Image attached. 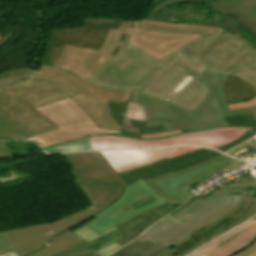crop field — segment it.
<instances>
[{
  "label": "crop field",
  "mask_w": 256,
  "mask_h": 256,
  "mask_svg": "<svg viewBox=\"0 0 256 256\" xmlns=\"http://www.w3.org/2000/svg\"><path fill=\"white\" fill-rule=\"evenodd\" d=\"M170 66L152 79L131 101L159 111L167 131L183 132L220 126H256V106L229 111L227 104L256 97V88L238 76L205 70L177 56ZM171 68V70H169ZM194 77L169 103L165 96L186 76ZM183 107V108H182Z\"/></svg>",
  "instance_id": "8a807250"
},
{
  "label": "crop field",
  "mask_w": 256,
  "mask_h": 256,
  "mask_svg": "<svg viewBox=\"0 0 256 256\" xmlns=\"http://www.w3.org/2000/svg\"><path fill=\"white\" fill-rule=\"evenodd\" d=\"M238 164L241 163L213 151L140 179L127 187L119 200L95 215L97 219L86 225L98 233L116 225L126 234L116 241L124 246L152 223L176 210L170 204H185L192 194L183 188L210 174Z\"/></svg>",
  "instance_id": "ac0d7876"
},
{
  "label": "crop field",
  "mask_w": 256,
  "mask_h": 256,
  "mask_svg": "<svg viewBox=\"0 0 256 256\" xmlns=\"http://www.w3.org/2000/svg\"><path fill=\"white\" fill-rule=\"evenodd\" d=\"M139 28L202 34L177 52L161 59L164 64L180 53L207 68L237 74L252 61L256 62V51L228 31L216 33L141 24Z\"/></svg>",
  "instance_id": "34b2d1b8"
},
{
  "label": "crop field",
  "mask_w": 256,
  "mask_h": 256,
  "mask_svg": "<svg viewBox=\"0 0 256 256\" xmlns=\"http://www.w3.org/2000/svg\"><path fill=\"white\" fill-rule=\"evenodd\" d=\"M240 199L238 196H223L217 201L210 196L203 201L198 198L183 210L163 218L144 233L167 248L175 246L199 226L211 224L229 213Z\"/></svg>",
  "instance_id": "412701ff"
},
{
  "label": "crop field",
  "mask_w": 256,
  "mask_h": 256,
  "mask_svg": "<svg viewBox=\"0 0 256 256\" xmlns=\"http://www.w3.org/2000/svg\"><path fill=\"white\" fill-rule=\"evenodd\" d=\"M73 167L76 184L92 205L106 207L122 195L126 183L100 151L63 154Z\"/></svg>",
  "instance_id": "f4fd0767"
},
{
  "label": "crop field",
  "mask_w": 256,
  "mask_h": 256,
  "mask_svg": "<svg viewBox=\"0 0 256 256\" xmlns=\"http://www.w3.org/2000/svg\"><path fill=\"white\" fill-rule=\"evenodd\" d=\"M29 76L55 81L65 86L77 94L70 99L78 104L98 127L120 131L121 127L109 113L107 101L125 103V99L130 100L131 93L99 88L57 68L42 66L40 70H32Z\"/></svg>",
  "instance_id": "dd49c442"
},
{
  "label": "crop field",
  "mask_w": 256,
  "mask_h": 256,
  "mask_svg": "<svg viewBox=\"0 0 256 256\" xmlns=\"http://www.w3.org/2000/svg\"><path fill=\"white\" fill-rule=\"evenodd\" d=\"M164 67L158 59L127 43L118 57L87 81L99 87L131 92L141 90Z\"/></svg>",
  "instance_id": "e52e79f7"
},
{
  "label": "crop field",
  "mask_w": 256,
  "mask_h": 256,
  "mask_svg": "<svg viewBox=\"0 0 256 256\" xmlns=\"http://www.w3.org/2000/svg\"><path fill=\"white\" fill-rule=\"evenodd\" d=\"M59 128L29 138L41 148L94 134H118L120 132L98 128L89 116L69 98L35 107Z\"/></svg>",
  "instance_id": "d8731c3e"
},
{
  "label": "crop field",
  "mask_w": 256,
  "mask_h": 256,
  "mask_svg": "<svg viewBox=\"0 0 256 256\" xmlns=\"http://www.w3.org/2000/svg\"><path fill=\"white\" fill-rule=\"evenodd\" d=\"M255 127H221L203 131L182 133L173 137L142 140L117 135L88 136L94 149L126 147H164L171 145H197L217 148L238 139Z\"/></svg>",
  "instance_id": "5a996713"
},
{
  "label": "crop field",
  "mask_w": 256,
  "mask_h": 256,
  "mask_svg": "<svg viewBox=\"0 0 256 256\" xmlns=\"http://www.w3.org/2000/svg\"><path fill=\"white\" fill-rule=\"evenodd\" d=\"M133 22H122L119 29H110L98 51L65 46L54 67L89 78L120 54L130 36Z\"/></svg>",
  "instance_id": "3316defc"
},
{
  "label": "crop field",
  "mask_w": 256,
  "mask_h": 256,
  "mask_svg": "<svg viewBox=\"0 0 256 256\" xmlns=\"http://www.w3.org/2000/svg\"><path fill=\"white\" fill-rule=\"evenodd\" d=\"M54 128L22 98L11 100L0 91V138L24 140Z\"/></svg>",
  "instance_id": "28ad6ade"
},
{
  "label": "crop field",
  "mask_w": 256,
  "mask_h": 256,
  "mask_svg": "<svg viewBox=\"0 0 256 256\" xmlns=\"http://www.w3.org/2000/svg\"><path fill=\"white\" fill-rule=\"evenodd\" d=\"M223 195H239V196H242V200L239 202L237 207L229 214L218 219L211 225L202 226L196 229L185 241H183L182 243L178 244L173 248H168V249L172 250L173 252L177 253L180 256H184L187 253L191 252L192 250L198 248L199 246L213 240L214 238L218 237L224 232L239 225L241 222L245 221L246 219L256 215V184L223 187L217 190L216 192H214L210 196H212L214 199L217 200L219 197ZM227 218H232L233 220L224 223L220 228L215 229L214 232H211L201 237L198 242L193 243L194 245L191 248H186L182 251L177 250L195 241L199 237V235L209 231L218 223H220L221 221Z\"/></svg>",
  "instance_id": "d1516ede"
},
{
  "label": "crop field",
  "mask_w": 256,
  "mask_h": 256,
  "mask_svg": "<svg viewBox=\"0 0 256 256\" xmlns=\"http://www.w3.org/2000/svg\"><path fill=\"white\" fill-rule=\"evenodd\" d=\"M122 21L86 19L82 28L52 31L42 64L54 66L65 45L98 50L109 28Z\"/></svg>",
  "instance_id": "22f410ed"
},
{
  "label": "crop field",
  "mask_w": 256,
  "mask_h": 256,
  "mask_svg": "<svg viewBox=\"0 0 256 256\" xmlns=\"http://www.w3.org/2000/svg\"><path fill=\"white\" fill-rule=\"evenodd\" d=\"M140 21H135L128 43L138 47L159 60L171 54L199 35L138 29Z\"/></svg>",
  "instance_id": "cbeb9de0"
},
{
  "label": "crop field",
  "mask_w": 256,
  "mask_h": 256,
  "mask_svg": "<svg viewBox=\"0 0 256 256\" xmlns=\"http://www.w3.org/2000/svg\"><path fill=\"white\" fill-rule=\"evenodd\" d=\"M26 79L27 81L13 83L1 91L11 99L22 97L33 107L75 95L55 82L35 78Z\"/></svg>",
  "instance_id": "5142ce71"
},
{
  "label": "crop field",
  "mask_w": 256,
  "mask_h": 256,
  "mask_svg": "<svg viewBox=\"0 0 256 256\" xmlns=\"http://www.w3.org/2000/svg\"><path fill=\"white\" fill-rule=\"evenodd\" d=\"M194 147H177L154 150L101 151L117 173L167 157L168 159L199 150Z\"/></svg>",
  "instance_id": "d9b57169"
},
{
  "label": "crop field",
  "mask_w": 256,
  "mask_h": 256,
  "mask_svg": "<svg viewBox=\"0 0 256 256\" xmlns=\"http://www.w3.org/2000/svg\"><path fill=\"white\" fill-rule=\"evenodd\" d=\"M82 238L84 241L55 255V256H70L73 254L87 252V251H95L101 256H104L121 246L118 245L115 241L124 236L116 226L98 234L93 229L88 226H83L78 230L72 232ZM0 256H18L13 251L1 254Z\"/></svg>",
  "instance_id": "733c2abd"
},
{
  "label": "crop field",
  "mask_w": 256,
  "mask_h": 256,
  "mask_svg": "<svg viewBox=\"0 0 256 256\" xmlns=\"http://www.w3.org/2000/svg\"><path fill=\"white\" fill-rule=\"evenodd\" d=\"M52 239L43 225L1 232L0 254L13 250L18 255L25 256L38 251Z\"/></svg>",
  "instance_id": "4a817a6b"
},
{
  "label": "crop field",
  "mask_w": 256,
  "mask_h": 256,
  "mask_svg": "<svg viewBox=\"0 0 256 256\" xmlns=\"http://www.w3.org/2000/svg\"><path fill=\"white\" fill-rule=\"evenodd\" d=\"M256 240V220L238 227L229 234L221 237L218 241L194 253L191 256H199L205 252L212 256H231Z\"/></svg>",
  "instance_id": "bc2a9ffb"
},
{
  "label": "crop field",
  "mask_w": 256,
  "mask_h": 256,
  "mask_svg": "<svg viewBox=\"0 0 256 256\" xmlns=\"http://www.w3.org/2000/svg\"><path fill=\"white\" fill-rule=\"evenodd\" d=\"M178 0H164L158 3L146 19L152 20L157 8ZM218 7L226 12L238 15L256 34V0H218Z\"/></svg>",
  "instance_id": "214f88e0"
},
{
  "label": "crop field",
  "mask_w": 256,
  "mask_h": 256,
  "mask_svg": "<svg viewBox=\"0 0 256 256\" xmlns=\"http://www.w3.org/2000/svg\"><path fill=\"white\" fill-rule=\"evenodd\" d=\"M210 151H213L211 149H202L196 152H192L180 157H176L173 159L168 160L167 158L160 160L159 162H154L151 163L149 165L140 167V168H136L133 170H129L123 173H119L120 177L123 179V181H125L126 183L131 184L133 182H135L136 180L140 179V178H144L148 175L154 174L156 172L165 170L167 168L173 167L175 165L181 164L183 162L189 161L191 159H194L196 157H199L205 153H208ZM127 185V186H128Z\"/></svg>",
  "instance_id": "92a150f3"
},
{
  "label": "crop field",
  "mask_w": 256,
  "mask_h": 256,
  "mask_svg": "<svg viewBox=\"0 0 256 256\" xmlns=\"http://www.w3.org/2000/svg\"><path fill=\"white\" fill-rule=\"evenodd\" d=\"M108 103L111 115L122 127L120 135L140 138V135L166 131L163 126L146 127L145 122L126 119L129 104Z\"/></svg>",
  "instance_id": "dafd665d"
},
{
  "label": "crop field",
  "mask_w": 256,
  "mask_h": 256,
  "mask_svg": "<svg viewBox=\"0 0 256 256\" xmlns=\"http://www.w3.org/2000/svg\"><path fill=\"white\" fill-rule=\"evenodd\" d=\"M164 249V246L143 233L133 242L108 256H155Z\"/></svg>",
  "instance_id": "00972430"
},
{
  "label": "crop field",
  "mask_w": 256,
  "mask_h": 256,
  "mask_svg": "<svg viewBox=\"0 0 256 256\" xmlns=\"http://www.w3.org/2000/svg\"><path fill=\"white\" fill-rule=\"evenodd\" d=\"M105 208L98 206H91L85 210H82L74 215H71L61 221H58L54 224L44 225L48 232H50L54 237L65 232L81 222L93 217L96 213L100 212Z\"/></svg>",
  "instance_id": "a9b5d70f"
},
{
  "label": "crop field",
  "mask_w": 256,
  "mask_h": 256,
  "mask_svg": "<svg viewBox=\"0 0 256 256\" xmlns=\"http://www.w3.org/2000/svg\"><path fill=\"white\" fill-rule=\"evenodd\" d=\"M82 241L79 237L75 236L71 232L67 231L54 238L40 251L27 255V256H53L74 244Z\"/></svg>",
  "instance_id": "4177f3b9"
},
{
  "label": "crop field",
  "mask_w": 256,
  "mask_h": 256,
  "mask_svg": "<svg viewBox=\"0 0 256 256\" xmlns=\"http://www.w3.org/2000/svg\"><path fill=\"white\" fill-rule=\"evenodd\" d=\"M212 11L215 15V19L204 22V25L221 27L232 32L234 35L247 25L240 18H238V23H234L231 20H228V16H223L226 12L221 11L217 5H214Z\"/></svg>",
  "instance_id": "730fd06b"
},
{
  "label": "crop field",
  "mask_w": 256,
  "mask_h": 256,
  "mask_svg": "<svg viewBox=\"0 0 256 256\" xmlns=\"http://www.w3.org/2000/svg\"><path fill=\"white\" fill-rule=\"evenodd\" d=\"M88 149H92V147L86 136L80 139H76L73 141H69V142H65V143L51 146L48 148H44L43 150L50 153H57V152H67V151L88 150Z\"/></svg>",
  "instance_id": "eef30255"
},
{
  "label": "crop field",
  "mask_w": 256,
  "mask_h": 256,
  "mask_svg": "<svg viewBox=\"0 0 256 256\" xmlns=\"http://www.w3.org/2000/svg\"><path fill=\"white\" fill-rule=\"evenodd\" d=\"M15 33L12 32L6 36L0 41V48L14 35ZM30 68H18L6 72L0 73V87L18 79L25 77L28 73Z\"/></svg>",
  "instance_id": "ae1a2a85"
},
{
  "label": "crop field",
  "mask_w": 256,
  "mask_h": 256,
  "mask_svg": "<svg viewBox=\"0 0 256 256\" xmlns=\"http://www.w3.org/2000/svg\"><path fill=\"white\" fill-rule=\"evenodd\" d=\"M140 23L141 24H147V25H155V26L180 27V28L205 30V31H217V32H223L224 31V30H222L220 28H217V27L191 25V24H169V23L155 22V21H149V20H142Z\"/></svg>",
  "instance_id": "d3111659"
},
{
  "label": "crop field",
  "mask_w": 256,
  "mask_h": 256,
  "mask_svg": "<svg viewBox=\"0 0 256 256\" xmlns=\"http://www.w3.org/2000/svg\"><path fill=\"white\" fill-rule=\"evenodd\" d=\"M246 80L250 81L254 85H256V63H251L248 67H246L243 71L237 74Z\"/></svg>",
  "instance_id": "750c4746"
},
{
  "label": "crop field",
  "mask_w": 256,
  "mask_h": 256,
  "mask_svg": "<svg viewBox=\"0 0 256 256\" xmlns=\"http://www.w3.org/2000/svg\"><path fill=\"white\" fill-rule=\"evenodd\" d=\"M254 134H256V128H255L253 131H248V132H246V133H245L242 137H240L238 140H236V141H234V142H232V143H230V144H227V145H225V146H223V147H221V148H217V149H220V150H222V151L225 152V151H227L228 149H230V148H232V147H234V146H236V145H238V144L244 142L245 140H247V139L253 137Z\"/></svg>",
  "instance_id": "bd1437ed"
},
{
  "label": "crop field",
  "mask_w": 256,
  "mask_h": 256,
  "mask_svg": "<svg viewBox=\"0 0 256 256\" xmlns=\"http://www.w3.org/2000/svg\"><path fill=\"white\" fill-rule=\"evenodd\" d=\"M192 77H186L184 80H182L164 99V101H169L185 84H187Z\"/></svg>",
  "instance_id": "1d83c4d3"
},
{
  "label": "crop field",
  "mask_w": 256,
  "mask_h": 256,
  "mask_svg": "<svg viewBox=\"0 0 256 256\" xmlns=\"http://www.w3.org/2000/svg\"><path fill=\"white\" fill-rule=\"evenodd\" d=\"M233 256H256V241L247 249H245Z\"/></svg>",
  "instance_id": "120bbe31"
},
{
  "label": "crop field",
  "mask_w": 256,
  "mask_h": 256,
  "mask_svg": "<svg viewBox=\"0 0 256 256\" xmlns=\"http://www.w3.org/2000/svg\"><path fill=\"white\" fill-rule=\"evenodd\" d=\"M256 105V98L251 100V101H245V102H241V103H237V104H231L228 105L229 109H238V108H246V107H252Z\"/></svg>",
  "instance_id": "d32e631a"
},
{
  "label": "crop field",
  "mask_w": 256,
  "mask_h": 256,
  "mask_svg": "<svg viewBox=\"0 0 256 256\" xmlns=\"http://www.w3.org/2000/svg\"><path fill=\"white\" fill-rule=\"evenodd\" d=\"M9 157H12V155L7 142L0 141V158H9Z\"/></svg>",
  "instance_id": "5866460e"
},
{
  "label": "crop field",
  "mask_w": 256,
  "mask_h": 256,
  "mask_svg": "<svg viewBox=\"0 0 256 256\" xmlns=\"http://www.w3.org/2000/svg\"><path fill=\"white\" fill-rule=\"evenodd\" d=\"M178 133H182V132L179 130V131H173V132H165V133L144 135V136H141V138L142 139L159 138V137H165V136H173V135H176Z\"/></svg>",
  "instance_id": "028f5c9d"
},
{
  "label": "crop field",
  "mask_w": 256,
  "mask_h": 256,
  "mask_svg": "<svg viewBox=\"0 0 256 256\" xmlns=\"http://www.w3.org/2000/svg\"><path fill=\"white\" fill-rule=\"evenodd\" d=\"M153 20H155V21L166 20V9H164L163 7L160 9H157Z\"/></svg>",
  "instance_id": "e1f06a70"
},
{
  "label": "crop field",
  "mask_w": 256,
  "mask_h": 256,
  "mask_svg": "<svg viewBox=\"0 0 256 256\" xmlns=\"http://www.w3.org/2000/svg\"><path fill=\"white\" fill-rule=\"evenodd\" d=\"M252 145L255 149H256V143L253 144L252 141L248 140L246 142H244L243 144L237 146L236 148L232 149L231 151L227 152L228 154L232 155L233 153L243 149L244 147L248 146V145Z\"/></svg>",
  "instance_id": "0bd39190"
},
{
  "label": "crop field",
  "mask_w": 256,
  "mask_h": 256,
  "mask_svg": "<svg viewBox=\"0 0 256 256\" xmlns=\"http://www.w3.org/2000/svg\"><path fill=\"white\" fill-rule=\"evenodd\" d=\"M246 29H251V28L247 25V26H246L245 28H243L239 33L236 34V36H237L239 39H241L242 41H244L245 38H241V37H240L239 34H241V33H243V34H245L246 36L252 38L251 36H249L248 34H246V33L243 32V31L246 30ZM252 39H253L254 41L256 40V39H254V38H252ZM244 42L247 43L248 45H250L252 48L256 49V48L253 46L252 43L246 42V41H244Z\"/></svg>",
  "instance_id": "b80d0937"
},
{
  "label": "crop field",
  "mask_w": 256,
  "mask_h": 256,
  "mask_svg": "<svg viewBox=\"0 0 256 256\" xmlns=\"http://www.w3.org/2000/svg\"><path fill=\"white\" fill-rule=\"evenodd\" d=\"M156 256H178L177 254L173 253L172 251L166 249L165 251L159 253Z\"/></svg>",
  "instance_id": "c035e120"
},
{
  "label": "crop field",
  "mask_w": 256,
  "mask_h": 256,
  "mask_svg": "<svg viewBox=\"0 0 256 256\" xmlns=\"http://www.w3.org/2000/svg\"><path fill=\"white\" fill-rule=\"evenodd\" d=\"M73 256H99V255L96 254L95 252H88V253H82V254L73 255Z\"/></svg>",
  "instance_id": "c21b1889"
},
{
  "label": "crop field",
  "mask_w": 256,
  "mask_h": 256,
  "mask_svg": "<svg viewBox=\"0 0 256 256\" xmlns=\"http://www.w3.org/2000/svg\"><path fill=\"white\" fill-rule=\"evenodd\" d=\"M202 256H211V255H209V254L206 253V254H204V255H202Z\"/></svg>",
  "instance_id": "03da06ac"
},
{
  "label": "crop field",
  "mask_w": 256,
  "mask_h": 256,
  "mask_svg": "<svg viewBox=\"0 0 256 256\" xmlns=\"http://www.w3.org/2000/svg\"><path fill=\"white\" fill-rule=\"evenodd\" d=\"M159 1H161V0H155V3L159 2Z\"/></svg>",
  "instance_id": "b54c1fbb"
},
{
  "label": "crop field",
  "mask_w": 256,
  "mask_h": 256,
  "mask_svg": "<svg viewBox=\"0 0 256 256\" xmlns=\"http://www.w3.org/2000/svg\"><path fill=\"white\" fill-rule=\"evenodd\" d=\"M0 1H6V0H0Z\"/></svg>",
  "instance_id": "5d738f31"
}]
</instances>
